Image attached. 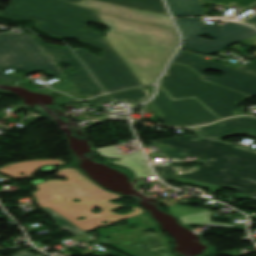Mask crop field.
<instances>
[{
	"label": "crop field",
	"mask_w": 256,
	"mask_h": 256,
	"mask_svg": "<svg viewBox=\"0 0 256 256\" xmlns=\"http://www.w3.org/2000/svg\"><path fill=\"white\" fill-rule=\"evenodd\" d=\"M0 16L12 19H35L36 26L51 36L77 38L95 48H103L101 58L84 49L75 53L99 81L106 92L142 85L117 56L105 38L84 23L101 24L97 13L60 0H11Z\"/></svg>",
	"instance_id": "obj_2"
},
{
	"label": "crop field",
	"mask_w": 256,
	"mask_h": 256,
	"mask_svg": "<svg viewBox=\"0 0 256 256\" xmlns=\"http://www.w3.org/2000/svg\"><path fill=\"white\" fill-rule=\"evenodd\" d=\"M151 102L164 115L161 118L166 125L195 126L219 119L195 98L171 101L160 86L156 98Z\"/></svg>",
	"instance_id": "obj_9"
},
{
	"label": "crop field",
	"mask_w": 256,
	"mask_h": 256,
	"mask_svg": "<svg viewBox=\"0 0 256 256\" xmlns=\"http://www.w3.org/2000/svg\"><path fill=\"white\" fill-rule=\"evenodd\" d=\"M176 22L185 39L184 47L192 48V50L206 55H210L256 34V30L231 22L226 23L224 26L215 25L208 28L203 26L198 18H182L181 20H176ZM205 34L216 39L210 41L200 38Z\"/></svg>",
	"instance_id": "obj_7"
},
{
	"label": "crop field",
	"mask_w": 256,
	"mask_h": 256,
	"mask_svg": "<svg viewBox=\"0 0 256 256\" xmlns=\"http://www.w3.org/2000/svg\"><path fill=\"white\" fill-rule=\"evenodd\" d=\"M143 217L145 218V220L147 221V223L149 224V226L151 227V229H155L156 232L159 233V231L152 225L151 221H150L149 218L146 216V214H144ZM158 236H159V238L162 240V242H163L164 245H165L167 255H168V256H171V254L169 253V251H170V245H169L167 239L164 238L160 233H159Z\"/></svg>",
	"instance_id": "obj_24"
},
{
	"label": "crop field",
	"mask_w": 256,
	"mask_h": 256,
	"mask_svg": "<svg viewBox=\"0 0 256 256\" xmlns=\"http://www.w3.org/2000/svg\"><path fill=\"white\" fill-rule=\"evenodd\" d=\"M237 69H240V70H243L245 72H248V73L256 75V60L253 61L252 63H250L247 66L239 67Z\"/></svg>",
	"instance_id": "obj_25"
},
{
	"label": "crop field",
	"mask_w": 256,
	"mask_h": 256,
	"mask_svg": "<svg viewBox=\"0 0 256 256\" xmlns=\"http://www.w3.org/2000/svg\"><path fill=\"white\" fill-rule=\"evenodd\" d=\"M152 142L177 149L175 151H162L163 155L169 159L179 158L183 155L210 159V161L205 162V166L196 167L197 172L186 175H180L175 171L176 168H182L180 166H155L156 173L163 180L224 169L223 174L230 178L225 184V188L250 194H254L256 191L255 153L191 135Z\"/></svg>",
	"instance_id": "obj_4"
},
{
	"label": "crop field",
	"mask_w": 256,
	"mask_h": 256,
	"mask_svg": "<svg viewBox=\"0 0 256 256\" xmlns=\"http://www.w3.org/2000/svg\"><path fill=\"white\" fill-rule=\"evenodd\" d=\"M69 3H76L80 0H63ZM108 3H116L119 5H125L129 7H135L142 10L158 12L168 15L166 8L162 0H102Z\"/></svg>",
	"instance_id": "obj_17"
},
{
	"label": "crop field",
	"mask_w": 256,
	"mask_h": 256,
	"mask_svg": "<svg viewBox=\"0 0 256 256\" xmlns=\"http://www.w3.org/2000/svg\"><path fill=\"white\" fill-rule=\"evenodd\" d=\"M222 171L223 170L177 178L173 179V181L204 187L209 192L217 191L220 190L229 179L222 174Z\"/></svg>",
	"instance_id": "obj_14"
},
{
	"label": "crop field",
	"mask_w": 256,
	"mask_h": 256,
	"mask_svg": "<svg viewBox=\"0 0 256 256\" xmlns=\"http://www.w3.org/2000/svg\"><path fill=\"white\" fill-rule=\"evenodd\" d=\"M243 23H246V24H248V25H252V24H254V25H256V15H254L253 17H251V18H249V19H247V20H245V21H242ZM256 27V26H255Z\"/></svg>",
	"instance_id": "obj_27"
},
{
	"label": "crop field",
	"mask_w": 256,
	"mask_h": 256,
	"mask_svg": "<svg viewBox=\"0 0 256 256\" xmlns=\"http://www.w3.org/2000/svg\"><path fill=\"white\" fill-rule=\"evenodd\" d=\"M184 224L187 223H200V224H221L229 226L230 224H222V223H213L210 221V211L196 213L192 215L179 217Z\"/></svg>",
	"instance_id": "obj_19"
},
{
	"label": "crop field",
	"mask_w": 256,
	"mask_h": 256,
	"mask_svg": "<svg viewBox=\"0 0 256 256\" xmlns=\"http://www.w3.org/2000/svg\"><path fill=\"white\" fill-rule=\"evenodd\" d=\"M173 62L186 64L205 77L203 80L231 88L252 97L256 96V76L254 75L199 58L182 50H180ZM208 69H215L223 75L221 77L206 76L203 73Z\"/></svg>",
	"instance_id": "obj_8"
},
{
	"label": "crop field",
	"mask_w": 256,
	"mask_h": 256,
	"mask_svg": "<svg viewBox=\"0 0 256 256\" xmlns=\"http://www.w3.org/2000/svg\"><path fill=\"white\" fill-rule=\"evenodd\" d=\"M147 105L152 109L155 116H162V114L159 112V110L151 102L148 103Z\"/></svg>",
	"instance_id": "obj_28"
},
{
	"label": "crop field",
	"mask_w": 256,
	"mask_h": 256,
	"mask_svg": "<svg viewBox=\"0 0 256 256\" xmlns=\"http://www.w3.org/2000/svg\"><path fill=\"white\" fill-rule=\"evenodd\" d=\"M196 129L200 132L201 136L217 140L236 134H246L256 138V118H231L213 126Z\"/></svg>",
	"instance_id": "obj_12"
},
{
	"label": "crop field",
	"mask_w": 256,
	"mask_h": 256,
	"mask_svg": "<svg viewBox=\"0 0 256 256\" xmlns=\"http://www.w3.org/2000/svg\"><path fill=\"white\" fill-rule=\"evenodd\" d=\"M42 164H62L60 160H35L29 162H19L0 168V172L15 177L18 179L28 178L42 165ZM26 173V175H19V173Z\"/></svg>",
	"instance_id": "obj_15"
},
{
	"label": "crop field",
	"mask_w": 256,
	"mask_h": 256,
	"mask_svg": "<svg viewBox=\"0 0 256 256\" xmlns=\"http://www.w3.org/2000/svg\"><path fill=\"white\" fill-rule=\"evenodd\" d=\"M240 148H242V147H240ZM246 149V148H245ZM248 151H250V152H255L256 153V151H254V150H250V149H247Z\"/></svg>",
	"instance_id": "obj_31"
},
{
	"label": "crop field",
	"mask_w": 256,
	"mask_h": 256,
	"mask_svg": "<svg viewBox=\"0 0 256 256\" xmlns=\"http://www.w3.org/2000/svg\"><path fill=\"white\" fill-rule=\"evenodd\" d=\"M202 1L219 5L222 7H226V8H228L231 5H234L237 7L247 9L256 4V0H202Z\"/></svg>",
	"instance_id": "obj_20"
},
{
	"label": "crop field",
	"mask_w": 256,
	"mask_h": 256,
	"mask_svg": "<svg viewBox=\"0 0 256 256\" xmlns=\"http://www.w3.org/2000/svg\"><path fill=\"white\" fill-rule=\"evenodd\" d=\"M173 16H203L199 0H166Z\"/></svg>",
	"instance_id": "obj_18"
},
{
	"label": "crop field",
	"mask_w": 256,
	"mask_h": 256,
	"mask_svg": "<svg viewBox=\"0 0 256 256\" xmlns=\"http://www.w3.org/2000/svg\"><path fill=\"white\" fill-rule=\"evenodd\" d=\"M201 76L185 65L171 63L160 85L173 99L194 96L221 118L235 116L238 103L250 97L203 81Z\"/></svg>",
	"instance_id": "obj_5"
},
{
	"label": "crop field",
	"mask_w": 256,
	"mask_h": 256,
	"mask_svg": "<svg viewBox=\"0 0 256 256\" xmlns=\"http://www.w3.org/2000/svg\"><path fill=\"white\" fill-rule=\"evenodd\" d=\"M21 34H23V33H21ZM12 35H14L12 32L4 33V34H0V38H1V37L12 36Z\"/></svg>",
	"instance_id": "obj_29"
},
{
	"label": "crop field",
	"mask_w": 256,
	"mask_h": 256,
	"mask_svg": "<svg viewBox=\"0 0 256 256\" xmlns=\"http://www.w3.org/2000/svg\"><path fill=\"white\" fill-rule=\"evenodd\" d=\"M42 210L46 211L53 218H55L57 224L60 225L61 227L72 231L76 235L84 233V231H82L79 228L75 227L74 225L69 223L67 220H65L64 218H62L60 215H58L57 213L53 212L52 210H50L48 208H44Z\"/></svg>",
	"instance_id": "obj_21"
},
{
	"label": "crop field",
	"mask_w": 256,
	"mask_h": 256,
	"mask_svg": "<svg viewBox=\"0 0 256 256\" xmlns=\"http://www.w3.org/2000/svg\"><path fill=\"white\" fill-rule=\"evenodd\" d=\"M176 171H178L181 174H185V173H189V172H194L196 170H195V167H192V168L177 169Z\"/></svg>",
	"instance_id": "obj_26"
},
{
	"label": "crop field",
	"mask_w": 256,
	"mask_h": 256,
	"mask_svg": "<svg viewBox=\"0 0 256 256\" xmlns=\"http://www.w3.org/2000/svg\"><path fill=\"white\" fill-rule=\"evenodd\" d=\"M254 199H256V192H255V195L253 196Z\"/></svg>",
	"instance_id": "obj_32"
},
{
	"label": "crop field",
	"mask_w": 256,
	"mask_h": 256,
	"mask_svg": "<svg viewBox=\"0 0 256 256\" xmlns=\"http://www.w3.org/2000/svg\"><path fill=\"white\" fill-rule=\"evenodd\" d=\"M151 96L146 91L145 88L142 89H134L122 93H117L113 95H109L106 97H102L95 101L89 102L90 105L95 107H100L102 101L110 102V101H128L133 103L135 106L149 99Z\"/></svg>",
	"instance_id": "obj_16"
},
{
	"label": "crop field",
	"mask_w": 256,
	"mask_h": 256,
	"mask_svg": "<svg viewBox=\"0 0 256 256\" xmlns=\"http://www.w3.org/2000/svg\"><path fill=\"white\" fill-rule=\"evenodd\" d=\"M75 5L97 11L108 28L106 40L142 82H156L161 70L179 45L169 17L135 8L83 0Z\"/></svg>",
	"instance_id": "obj_1"
},
{
	"label": "crop field",
	"mask_w": 256,
	"mask_h": 256,
	"mask_svg": "<svg viewBox=\"0 0 256 256\" xmlns=\"http://www.w3.org/2000/svg\"><path fill=\"white\" fill-rule=\"evenodd\" d=\"M95 151L103 157H113L120 159V161H113L112 163L121 164L131 168L136 174L137 179L153 176L147 164H144L145 159L143 157L142 151H138L130 156H126L124 154L119 155L115 150V146L104 147L96 149Z\"/></svg>",
	"instance_id": "obj_13"
},
{
	"label": "crop field",
	"mask_w": 256,
	"mask_h": 256,
	"mask_svg": "<svg viewBox=\"0 0 256 256\" xmlns=\"http://www.w3.org/2000/svg\"><path fill=\"white\" fill-rule=\"evenodd\" d=\"M15 256H34V255H30V254H28L26 252H23V253L15 255Z\"/></svg>",
	"instance_id": "obj_30"
},
{
	"label": "crop field",
	"mask_w": 256,
	"mask_h": 256,
	"mask_svg": "<svg viewBox=\"0 0 256 256\" xmlns=\"http://www.w3.org/2000/svg\"><path fill=\"white\" fill-rule=\"evenodd\" d=\"M166 209L176 217L207 210V209H200V208L184 207L178 204L167 207Z\"/></svg>",
	"instance_id": "obj_22"
},
{
	"label": "crop field",
	"mask_w": 256,
	"mask_h": 256,
	"mask_svg": "<svg viewBox=\"0 0 256 256\" xmlns=\"http://www.w3.org/2000/svg\"><path fill=\"white\" fill-rule=\"evenodd\" d=\"M137 219H141L145 223L140 224V227L138 229H124L121 227H117L109 230L115 235L114 238H112L111 240L114 243H112L110 240L109 242H106L105 240L97 241L105 245H108L110 243L115 245L116 243H118L120 244L118 247H123L134 251L138 250L136 252H138L139 254L135 256H166L164 246L161 240L157 237V235L151 232H142L147 229L146 227H148V230L150 229L142 215L131 218V220L138 222ZM116 230H118L119 232ZM126 232H129L127 233L128 235L126 234Z\"/></svg>",
	"instance_id": "obj_11"
},
{
	"label": "crop field",
	"mask_w": 256,
	"mask_h": 256,
	"mask_svg": "<svg viewBox=\"0 0 256 256\" xmlns=\"http://www.w3.org/2000/svg\"><path fill=\"white\" fill-rule=\"evenodd\" d=\"M56 175L68 180H47L37 184L38 190L33 195L36 196L38 206L41 209L49 207L85 232L144 212L137 207L127 215L114 214L112 211L122 206L109 203V201L120 197L98 188L77 170L60 169ZM74 198L81 201L73 202ZM95 207L102 211L99 214L91 212ZM78 216L86 218L78 220L76 219ZM103 220L108 222L104 224L101 222Z\"/></svg>",
	"instance_id": "obj_3"
},
{
	"label": "crop field",
	"mask_w": 256,
	"mask_h": 256,
	"mask_svg": "<svg viewBox=\"0 0 256 256\" xmlns=\"http://www.w3.org/2000/svg\"><path fill=\"white\" fill-rule=\"evenodd\" d=\"M59 91L71 94L75 98L82 99L80 95H78V91L76 90V87L72 85L68 80L62 81L61 83L55 85L54 87Z\"/></svg>",
	"instance_id": "obj_23"
},
{
	"label": "crop field",
	"mask_w": 256,
	"mask_h": 256,
	"mask_svg": "<svg viewBox=\"0 0 256 256\" xmlns=\"http://www.w3.org/2000/svg\"><path fill=\"white\" fill-rule=\"evenodd\" d=\"M33 37L37 40L55 65L70 80V82L77 87V90H79L86 99L97 94L104 93L91 75H89L85 68H83L82 64L70 49L44 44L37 36ZM60 63H67L71 65V69L75 70L76 72L68 73L63 67L60 66Z\"/></svg>",
	"instance_id": "obj_10"
},
{
	"label": "crop field",
	"mask_w": 256,
	"mask_h": 256,
	"mask_svg": "<svg viewBox=\"0 0 256 256\" xmlns=\"http://www.w3.org/2000/svg\"><path fill=\"white\" fill-rule=\"evenodd\" d=\"M5 68L20 69L29 74L40 70L50 75H63L29 34L0 39V79H22L5 74L2 71Z\"/></svg>",
	"instance_id": "obj_6"
}]
</instances>
